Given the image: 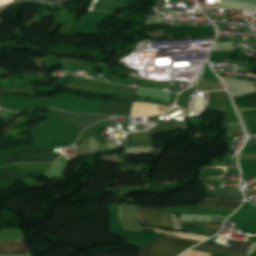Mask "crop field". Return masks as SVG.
<instances>
[{
	"label": "crop field",
	"instance_id": "d9b57169",
	"mask_svg": "<svg viewBox=\"0 0 256 256\" xmlns=\"http://www.w3.org/2000/svg\"><path fill=\"white\" fill-rule=\"evenodd\" d=\"M256 144V140L247 141L246 145H254Z\"/></svg>",
	"mask_w": 256,
	"mask_h": 256
},
{
	"label": "crop field",
	"instance_id": "733c2abd",
	"mask_svg": "<svg viewBox=\"0 0 256 256\" xmlns=\"http://www.w3.org/2000/svg\"><path fill=\"white\" fill-rule=\"evenodd\" d=\"M252 88L255 90L254 92H251L249 94H256V83L252 82Z\"/></svg>",
	"mask_w": 256,
	"mask_h": 256
},
{
	"label": "crop field",
	"instance_id": "4a817a6b",
	"mask_svg": "<svg viewBox=\"0 0 256 256\" xmlns=\"http://www.w3.org/2000/svg\"><path fill=\"white\" fill-rule=\"evenodd\" d=\"M227 126H228V128H231V127H235V126H237V125H236L235 122H233V123H228Z\"/></svg>",
	"mask_w": 256,
	"mask_h": 256
},
{
	"label": "crop field",
	"instance_id": "f4fd0767",
	"mask_svg": "<svg viewBox=\"0 0 256 256\" xmlns=\"http://www.w3.org/2000/svg\"><path fill=\"white\" fill-rule=\"evenodd\" d=\"M144 213L147 226L172 229L170 216L166 207L144 208Z\"/></svg>",
	"mask_w": 256,
	"mask_h": 256
},
{
	"label": "crop field",
	"instance_id": "412701ff",
	"mask_svg": "<svg viewBox=\"0 0 256 256\" xmlns=\"http://www.w3.org/2000/svg\"><path fill=\"white\" fill-rule=\"evenodd\" d=\"M184 127V121L171 120L157 128L128 135V147L152 145L150 134L179 129Z\"/></svg>",
	"mask_w": 256,
	"mask_h": 256
},
{
	"label": "crop field",
	"instance_id": "5a996713",
	"mask_svg": "<svg viewBox=\"0 0 256 256\" xmlns=\"http://www.w3.org/2000/svg\"><path fill=\"white\" fill-rule=\"evenodd\" d=\"M31 254L25 241H8L0 243V255Z\"/></svg>",
	"mask_w": 256,
	"mask_h": 256
},
{
	"label": "crop field",
	"instance_id": "dd49c442",
	"mask_svg": "<svg viewBox=\"0 0 256 256\" xmlns=\"http://www.w3.org/2000/svg\"><path fill=\"white\" fill-rule=\"evenodd\" d=\"M151 38L189 36L199 34H215L214 28L205 29H163L147 33Z\"/></svg>",
	"mask_w": 256,
	"mask_h": 256
},
{
	"label": "crop field",
	"instance_id": "8a807250",
	"mask_svg": "<svg viewBox=\"0 0 256 256\" xmlns=\"http://www.w3.org/2000/svg\"><path fill=\"white\" fill-rule=\"evenodd\" d=\"M197 243L168 236L140 248L139 256H176Z\"/></svg>",
	"mask_w": 256,
	"mask_h": 256
},
{
	"label": "crop field",
	"instance_id": "ac0d7876",
	"mask_svg": "<svg viewBox=\"0 0 256 256\" xmlns=\"http://www.w3.org/2000/svg\"><path fill=\"white\" fill-rule=\"evenodd\" d=\"M137 89L117 86L113 96L133 101ZM103 99L99 114L110 116H129L132 103L131 101L115 98Z\"/></svg>",
	"mask_w": 256,
	"mask_h": 256
},
{
	"label": "crop field",
	"instance_id": "d1516ede",
	"mask_svg": "<svg viewBox=\"0 0 256 256\" xmlns=\"http://www.w3.org/2000/svg\"><path fill=\"white\" fill-rule=\"evenodd\" d=\"M20 175H22V174L14 171V170H11L7 167L0 168V180H2V181L8 182Z\"/></svg>",
	"mask_w": 256,
	"mask_h": 256
},
{
	"label": "crop field",
	"instance_id": "22f410ed",
	"mask_svg": "<svg viewBox=\"0 0 256 256\" xmlns=\"http://www.w3.org/2000/svg\"><path fill=\"white\" fill-rule=\"evenodd\" d=\"M246 98H251V97H233L232 98L237 109L256 108V104H253L252 102H246Z\"/></svg>",
	"mask_w": 256,
	"mask_h": 256
},
{
	"label": "crop field",
	"instance_id": "28ad6ade",
	"mask_svg": "<svg viewBox=\"0 0 256 256\" xmlns=\"http://www.w3.org/2000/svg\"><path fill=\"white\" fill-rule=\"evenodd\" d=\"M215 193H207V197H220L242 200V195L239 190H220L215 189Z\"/></svg>",
	"mask_w": 256,
	"mask_h": 256
},
{
	"label": "crop field",
	"instance_id": "cbeb9de0",
	"mask_svg": "<svg viewBox=\"0 0 256 256\" xmlns=\"http://www.w3.org/2000/svg\"><path fill=\"white\" fill-rule=\"evenodd\" d=\"M192 249H193V250L202 251V252H205V253L216 254V255H222V256H236V255L225 254V253H221V252H217V251H213V250H205V249H201V248H197V247H194V248H192Z\"/></svg>",
	"mask_w": 256,
	"mask_h": 256
},
{
	"label": "crop field",
	"instance_id": "bc2a9ffb",
	"mask_svg": "<svg viewBox=\"0 0 256 256\" xmlns=\"http://www.w3.org/2000/svg\"><path fill=\"white\" fill-rule=\"evenodd\" d=\"M212 256H216V255H212Z\"/></svg>",
	"mask_w": 256,
	"mask_h": 256
},
{
	"label": "crop field",
	"instance_id": "5142ce71",
	"mask_svg": "<svg viewBox=\"0 0 256 256\" xmlns=\"http://www.w3.org/2000/svg\"><path fill=\"white\" fill-rule=\"evenodd\" d=\"M137 214H138V221L140 223V225H145V221H144V213H143V208L137 207Z\"/></svg>",
	"mask_w": 256,
	"mask_h": 256
},
{
	"label": "crop field",
	"instance_id": "3316defc",
	"mask_svg": "<svg viewBox=\"0 0 256 256\" xmlns=\"http://www.w3.org/2000/svg\"><path fill=\"white\" fill-rule=\"evenodd\" d=\"M241 203L242 202L215 200V199H203V201L201 203H199L198 206L215 207V208H221V209L235 211V209Z\"/></svg>",
	"mask_w": 256,
	"mask_h": 256
},
{
	"label": "crop field",
	"instance_id": "34b2d1b8",
	"mask_svg": "<svg viewBox=\"0 0 256 256\" xmlns=\"http://www.w3.org/2000/svg\"><path fill=\"white\" fill-rule=\"evenodd\" d=\"M59 154L52 151V148H26L13 152L3 153L8 164L17 162H52Z\"/></svg>",
	"mask_w": 256,
	"mask_h": 256
},
{
	"label": "crop field",
	"instance_id": "d8731c3e",
	"mask_svg": "<svg viewBox=\"0 0 256 256\" xmlns=\"http://www.w3.org/2000/svg\"><path fill=\"white\" fill-rule=\"evenodd\" d=\"M228 243H231V245L228 248L209 245V244H205V243H202V244L198 245L197 247L213 249V250L237 254V255H245L251 242H242V241L236 242V241L228 240Z\"/></svg>",
	"mask_w": 256,
	"mask_h": 256
},
{
	"label": "crop field",
	"instance_id": "e52e79f7",
	"mask_svg": "<svg viewBox=\"0 0 256 256\" xmlns=\"http://www.w3.org/2000/svg\"><path fill=\"white\" fill-rule=\"evenodd\" d=\"M57 114L64 120H66L67 122L71 123L72 125L76 126L81 130L95 122L108 118L97 115H75L64 112H60Z\"/></svg>",
	"mask_w": 256,
	"mask_h": 256
}]
</instances>
